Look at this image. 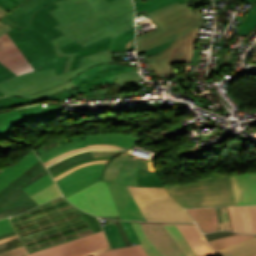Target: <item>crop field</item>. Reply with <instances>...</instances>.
<instances>
[{
    "label": "crop field",
    "mask_w": 256,
    "mask_h": 256,
    "mask_svg": "<svg viewBox=\"0 0 256 256\" xmlns=\"http://www.w3.org/2000/svg\"><path fill=\"white\" fill-rule=\"evenodd\" d=\"M147 15L159 29L136 38L137 53L176 38L170 47L146 59L158 76L173 74L169 64L191 60L197 27L202 23L201 8L193 12L187 3L176 2Z\"/></svg>",
    "instance_id": "1"
},
{
    "label": "crop field",
    "mask_w": 256,
    "mask_h": 256,
    "mask_svg": "<svg viewBox=\"0 0 256 256\" xmlns=\"http://www.w3.org/2000/svg\"><path fill=\"white\" fill-rule=\"evenodd\" d=\"M99 0H61L59 8L50 11L60 24L55 26L65 35L52 40L60 47L76 41L85 46L108 35L112 38L134 26V14L104 27L98 18L111 14L114 18L134 9L132 0H120L100 11L92 4Z\"/></svg>",
    "instance_id": "2"
},
{
    "label": "crop field",
    "mask_w": 256,
    "mask_h": 256,
    "mask_svg": "<svg viewBox=\"0 0 256 256\" xmlns=\"http://www.w3.org/2000/svg\"><path fill=\"white\" fill-rule=\"evenodd\" d=\"M57 8L56 4H50L37 11L30 26L21 28L7 17L0 21L8 23L12 31L8 35L29 60L36 71L56 68L57 74L62 73L68 57H57L55 47L50 40L63 35L53 26L58 25L56 20L48 12ZM56 58V61H53ZM42 67L39 69V67Z\"/></svg>",
    "instance_id": "3"
},
{
    "label": "crop field",
    "mask_w": 256,
    "mask_h": 256,
    "mask_svg": "<svg viewBox=\"0 0 256 256\" xmlns=\"http://www.w3.org/2000/svg\"><path fill=\"white\" fill-rule=\"evenodd\" d=\"M166 189L185 208L236 205L230 176L213 174L211 179Z\"/></svg>",
    "instance_id": "4"
},
{
    "label": "crop field",
    "mask_w": 256,
    "mask_h": 256,
    "mask_svg": "<svg viewBox=\"0 0 256 256\" xmlns=\"http://www.w3.org/2000/svg\"><path fill=\"white\" fill-rule=\"evenodd\" d=\"M112 62L110 50L83 57L78 69L56 75L55 69L21 75L0 83V90L6 95L28 96L36 92L61 85L83 70L98 63ZM113 63V62H112ZM74 78V77H73Z\"/></svg>",
    "instance_id": "5"
},
{
    "label": "crop field",
    "mask_w": 256,
    "mask_h": 256,
    "mask_svg": "<svg viewBox=\"0 0 256 256\" xmlns=\"http://www.w3.org/2000/svg\"><path fill=\"white\" fill-rule=\"evenodd\" d=\"M128 187L147 221L193 222L165 188Z\"/></svg>",
    "instance_id": "6"
},
{
    "label": "crop field",
    "mask_w": 256,
    "mask_h": 256,
    "mask_svg": "<svg viewBox=\"0 0 256 256\" xmlns=\"http://www.w3.org/2000/svg\"><path fill=\"white\" fill-rule=\"evenodd\" d=\"M102 180L147 187H164L157 172H148L145 160L121 154L114 157L104 169Z\"/></svg>",
    "instance_id": "7"
},
{
    "label": "crop field",
    "mask_w": 256,
    "mask_h": 256,
    "mask_svg": "<svg viewBox=\"0 0 256 256\" xmlns=\"http://www.w3.org/2000/svg\"><path fill=\"white\" fill-rule=\"evenodd\" d=\"M43 171L48 172L39 160L6 188L0 191V219L20 214L38 205L22 189L31 184L30 179Z\"/></svg>",
    "instance_id": "8"
},
{
    "label": "crop field",
    "mask_w": 256,
    "mask_h": 256,
    "mask_svg": "<svg viewBox=\"0 0 256 256\" xmlns=\"http://www.w3.org/2000/svg\"><path fill=\"white\" fill-rule=\"evenodd\" d=\"M67 199L93 215L119 219L106 182L100 181Z\"/></svg>",
    "instance_id": "9"
},
{
    "label": "crop field",
    "mask_w": 256,
    "mask_h": 256,
    "mask_svg": "<svg viewBox=\"0 0 256 256\" xmlns=\"http://www.w3.org/2000/svg\"><path fill=\"white\" fill-rule=\"evenodd\" d=\"M187 256H211L214 249L208 244L195 223H162ZM166 229V230H167Z\"/></svg>",
    "instance_id": "10"
},
{
    "label": "crop field",
    "mask_w": 256,
    "mask_h": 256,
    "mask_svg": "<svg viewBox=\"0 0 256 256\" xmlns=\"http://www.w3.org/2000/svg\"><path fill=\"white\" fill-rule=\"evenodd\" d=\"M105 245H108V242L101 231L26 256H80Z\"/></svg>",
    "instance_id": "11"
},
{
    "label": "crop field",
    "mask_w": 256,
    "mask_h": 256,
    "mask_svg": "<svg viewBox=\"0 0 256 256\" xmlns=\"http://www.w3.org/2000/svg\"><path fill=\"white\" fill-rule=\"evenodd\" d=\"M84 137L86 141L66 144L51 150L50 152L40 157L42 162L47 161L63 152L77 149L80 147H86V145L89 144H116L126 149H130L143 138L125 133H99L92 135H84Z\"/></svg>",
    "instance_id": "12"
},
{
    "label": "crop field",
    "mask_w": 256,
    "mask_h": 256,
    "mask_svg": "<svg viewBox=\"0 0 256 256\" xmlns=\"http://www.w3.org/2000/svg\"><path fill=\"white\" fill-rule=\"evenodd\" d=\"M107 163H97L80 168L56 181L62 194L67 197L102 178L104 166Z\"/></svg>",
    "instance_id": "13"
},
{
    "label": "crop field",
    "mask_w": 256,
    "mask_h": 256,
    "mask_svg": "<svg viewBox=\"0 0 256 256\" xmlns=\"http://www.w3.org/2000/svg\"><path fill=\"white\" fill-rule=\"evenodd\" d=\"M134 70L124 64H99L75 76L71 81L79 88L113 82L115 74Z\"/></svg>",
    "instance_id": "14"
},
{
    "label": "crop field",
    "mask_w": 256,
    "mask_h": 256,
    "mask_svg": "<svg viewBox=\"0 0 256 256\" xmlns=\"http://www.w3.org/2000/svg\"><path fill=\"white\" fill-rule=\"evenodd\" d=\"M63 107H52L43 109L41 105L0 114V122L6 126L0 129V139L12 131L16 124L38 119L44 116L62 113Z\"/></svg>",
    "instance_id": "15"
},
{
    "label": "crop field",
    "mask_w": 256,
    "mask_h": 256,
    "mask_svg": "<svg viewBox=\"0 0 256 256\" xmlns=\"http://www.w3.org/2000/svg\"><path fill=\"white\" fill-rule=\"evenodd\" d=\"M140 223L146 236L164 256H186L161 223Z\"/></svg>",
    "instance_id": "16"
},
{
    "label": "crop field",
    "mask_w": 256,
    "mask_h": 256,
    "mask_svg": "<svg viewBox=\"0 0 256 256\" xmlns=\"http://www.w3.org/2000/svg\"><path fill=\"white\" fill-rule=\"evenodd\" d=\"M107 184L121 219L145 221L127 185Z\"/></svg>",
    "instance_id": "17"
},
{
    "label": "crop field",
    "mask_w": 256,
    "mask_h": 256,
    "mask_svg": "<svg viewBox=\"0 0 256 256\" xmlns=\"http://www.w3.org/2000/svg\"><path fill=\"white\" fill-rule=\"evenodd\" d=\"M27 59L15 46L7 33L0 36V62L19 75L34 71Z\"/></svg>",
    "instance_id": "18"
},
{
    "label": "crop field",
    "mask_w": 256,
    "mask_h": 256,
    "mask_svg": "<svg viewBox=\"0 0 256 256\" xmlns=\"http://www.w3.org/2000/svg\"><path fill=\"white\" fill-rule=\"evenodd\" d=\"M237 205L256 204V173L231 176Z\"/></svg>",
    "instance_id": "19"
},
{
    "label": "crop field",
    "mask_w": 256,
    "mask_h": 256,
    "mask_svg": "<svg viewBox=\"0 0 256 256\" xmlns=\"http://www.w3.org/2000/svg\"><path fill=\"white\" fill-rule=\"evenodd\" d=\"M113 40L114 39H112L110 36H108L100 41H97V42L87 45L85 47L79 45L78 43L73 42L71 44L60 47V49L64 53H79L78 55L75 56L74 61L71 66V69H75L78 67L81 57L91 55L94 53H98V51L102 52L107 49H110V44L113 42Z\"/></svg>",
    "instance_id": "20"
},
{
    "label": "crop field",
    "mask_w": 256,
    "mask_h": 256,
    "mask_svg": "<svg viewBox=\"0 0 256 256\" xmlns=\"http://www.w3.org/2000/svg\"><path fill=\"white\" fill-rule=\"evenodd\" d=\"M56 1L59 0H28L6 16L21 27L27 26L37 10Z\"/></svg>",
    "instance_id": "21"
},
{
    "label": "crop field",
    "mask_w": 256,
    "mask_h": 256,
    "mask_svg": "<svg viewBox=\"0 0 256 256\" xmlns=\"http://www.w3.org/2000/svg\"><path fill=\"white\" fill-rule=\"evenodd\" d=\"M38 160V157L32 149L16 164L11 167L8 166L7 168H5L2 172H0V190H2L5 186L11 183L14 179H16L20 174H22Z\"/></svg>",
    "instance_id": "22"
},
{
    "label": "crop field",
    "mask_w": 256,
    "mask_h": 256,
    "mask_svg": "<svg viewBox=\"0 0 256 256\" xmlns=\"http://www.w3.org/2000/svg\"><path fill=\"white\" fill-rule=\"evenodd\" d=\"M204 233L218 231L214 208L187 209Z\"/></svg>",
    "instance_id": "23"
},
{
    "label": "crop field",
    "mask_w": 256,
    "mask_h": 256,
    "mask_svg": "<svg viewBox=\"0 0 256 256\" xmlns=\"http://www.w3.org/2000/svg\"><path fill=\"white\" fill-rule=\"evenodd\" d=\"M221 256H251L256 254V237L218 251Z\"/></svg>",
    "instance_id": "24"
},
{
    "label": "crop field",
    "mask_w": 256,
    "mask_h": 256,
    "mask_svg": "<svg viewBox=\"0 0 256 256\" xmlns=\"http://www.w3.org/2000/svg\"><path fill=\"white\" fill-rule=\"evenodd\" d=\"M134 35L135 27L126 30L122 34L114 38V42L111 44V51L121 52L126 50L135 49L134 47Z\"/></svg>",
    "instance_id": "25"
},
{
    "label": "crop field",
    "mask_w": 256,
    "mask_h": 256,
    "mask_svg": "<svg viewBox=\"0 0 256 256\" xmlns=\"http://www.w3.org/2000/svg\"><path fill=\"white\" fill-rule=\"evenodd\" d=\"M87 158H94L91 151L80 153V154L74 155L72 157L63 159V160L49 166L48 170L52 175V174L62 170L63 168L69 166V165H72V164H74L78 161H81V160H84V159H87Z\"/></svg>",
    "instance_id": "26"
},
{
    "label": "crop field",
    "mask_w": 256,
    "mask_h": 256,
    "mask_svg": "<svg viewBox=\"0 0 256 256\" xmlns=\"http://www.w3.org/2000/svg\"><path fill=\"white\" fill-rule=\"evenodd\" d=\"M256 235H243L238 234L234 236H229L225 238L215 239L209 241L210 244L216 249V251L221 250L223 248L229 247L231 245L237 244L239 242H242L244 240L250 239L252 237H255Z\"/></svg>",
    "instance_id": "27"
},
{
    "label": "crop field",
    "mask_w": 256,
    "mask_h": 256,
    "mask_svg": "<svg viewBox=\"0 0 256 256\" xmlns=\"http://www.w3.org/2000/svg\"><path fill=\"white\" fill-rule=\"evenodd\" d=\"M255 5L243 20L237 33L247 36L249 32L256 26V0H241Z\"/></svg>",
    "instance_id": "28"
},
{
    "label": "crop field",
    "mask_w": 256,
    "mask_h": 256,
    "mask_svg": "<svg viewBox=\"0 0 256 256\" xmlns=\"http://www.w3.org/2000/svg\"><path fill=\"white\" fill-rule=\"evenodd\" d=\"M98 256H148L140 244L126 248L111 249Z\"/></svg>",
    "instance_id": "29"
},
{
    "label": "crop field",
    "mask_w": 256,
    "mask_h": 256,
    "mask_svg": "<svg viewBox=\"0 0 256 256\" xmlns=\"http://www.w3.org/2000/svg\"><path fill=\"white\" fill-rule=\"evenodd\" d=\"M176 1H178L180 4L185 3V0H150L145 3L140 2L134 5L136 7V13L144 9H146L147 13H149L151 11H154L156 9H159L161 7L174 3Z\"/></svg>",
    "instance_id": "30"
},
{
    "label": "crop field",
    "mask_w": 256,
    "mask_h": 256,
    "mask_svg": "<svg viewBox=\"0 0 256 256\" xmlns=\"http://www.w3.org/2000/svg\"><path fill=\"white\" fill-rule=\"evenodd\" d=\"M131 223L133 224L141 242H142V247L145 249V251L148 253L149 256H163L158 250L157 248L149 241V239L145 236V234L143 233L140 223L139 222H133L131 221ZM146 253V254H147Z\"/></svg>",
    "instance_id": "31"
},
{
    "label": "crop field",
    "mask_w": 256,
    "mask_h": 256,
    "mask_svg": "<svg viewBox=\"0 0 256 256\" xmlns=\"http://www.w3.org/2000/svg\"><path fill=\"white\" fill-rule=\"evenodd\" d=\"M61 193L58 189V187L56 186V184H52L49 187H47L46 189L36 193L35 195L31 196L39 205L60 196Z\"/></svg>",
    "instance_id": "32"
},
{
    "label": "crop field",
    "mask_w": 256,
    "mask_h": 256,
    "mask_svg": "<svg viewBox=\"0 0 256 256\" xmlns=\"http://www.w3.org/2000/svg\"><path fill=\"white\" fill-rule=\"evenodd\" d=\"M103 228L108 237L111 248L125 246L124 241L116 225L107 224L103 226Z\"/></svg>",
    "instance_id": "33"
},
{
    "label": "crop field",
    "mask_w": 256,
    "mask_h": 256,
    "mask_svg": "<svg viewBox=\"0 0 256 256\" xmlns=\"http://www.w3.org/2000/svg\"><path fill=\"white\" fill-rule=\"evenodd\" d=\"M82 93H85V97L95 96L94 86L90 88L82 89V90H79L76 86H74L64 92L56 93L54 95H51L45 98L59 100L65 97L82 94Z\"/></svg>",
    "instance_id": "34"
},
{
    "label": "crop field",
    "mask_w": 256,
    "mask_h": 256,
    "mask_svg": "<svg viewBox=\"0 0 256 256\" xmlns=\"http://www.w3.org/2000/svg\"><path fill=\"white\" fill-rule=\"evenodd\" d=\"M33 100L34 99H31V98L18 97V96H9V97L0 98V109H5V108L13 107L16 105L34 102Z\"/></svg>",
    "instance_id": "35"
},
{
    "label": "crop field",
    "mask_w": 256,
    "mask_h": 256,
    "mask_svg": "<svg viewBox=\"0 0 256 256\" xmlns=\"http://www.w3.org/2000/svg\"><path fill=\"white\" fill-rule=\"evenodd\" d=\"M228 209L234 231L245 233L240 207H228Z\"/></svg>",
    "instance_id": "36"
},
{
    "label": "crop field",
    "mask_w": 256,
    "mask_h": 256,
    "mask_svg": "<svg viewBox=\"0 0 256 256\" xmlns=\"http://www.w3.org/2000/svg\"><path fill=\"white\" fill-rule=\"evenodd\" d=\"M54 181L51 178L50 174L46 175L45 177L39 179L38 181L32 183L25 189H23L25 192H27L30 196L35 194L36 192L40 191L41 189L49 186Z\"/></svg>",
    "instance_id": "37"
},
{
    "label": "crop field",
    "mask_w": 256,
    "mask_h": 256,
    "mask_svg": "<svg viewBox=\"0 0 256 256\" xmlns=\"http://www.w3.org/2000/svg\"><path fill=\"white\" fill-rule=\"evenodd\" d=\"M87 149H123V148H120V147L115 146V145H90V146H88V148H80V149H77V150H73V151H69V152H66L64 154H61V155H59V156H57V157H55V158H53V159H51L47 162H44V164L46 166H48L49 164L65 157V156H68L70 154H73V153H76V152H79V151L87 150Z\"/></svg>",
    "instance_id": "38"
},
{
    "label": "crop field",
    "mask_w": 256,
    "mask_h": 256,
    "mask_svg": "<svg viewBox=\"0 0 256 256\" xmlns=\"http://www.w3.org/2000/svg\"><path fill=\"white\" fill-rule=\"evenodd\" d=\"M74 86V84L70 81L66 84H63L61 86H58V87H55V88H52V89H48V90H45V91H42V92H39V93H36L34 95H31V97H36V98H42V97H45V96H48V95H51V94H54L56 92H60V91H63L67 88H70Z\"/></svg>",
    "instance_id": "39"
},
{
    "label": "crop field",
    "mask_w": 256,
    "mask_h": 256,
    "mask_svg": "<svg viewBox=\"0 0 256 256\" xmlns=\"http://www.w3.org/2000/svg\"><path fill=\"white\" fill-rule=\"evenodd\" d=\"M120 222L122 224V227H123L127 237L129 238L130 242L131 243L135 242V244L140 243L130 221H120Z\"/></svg>",
    "instance_id": "40"
},
{
    "label": "crop field",
    "mask_w": 256,
    "mask_h": 256,
    "mask_svg": "<svg viewBox=\"0 0 256 256\" xmlns=\"http://www.w3.org/2000/svg\"><path fill=\"white\" fill-rule=\"evenodd\" d=\"M204 152H206V151L194 146L188 150L181 152V154L188 159H195L198 156H200L201 154H203Z\"/></svg>",
    "instance_id": "41"
},
{
    "label": "crop field",
    "mask_w": 256,
    "mask_h": 256,
    "mask_svg": "<svg viewBox=\"0 0 256 256\" xmlns=\"http://www.w3.org/2000/svg\"><path fill=\"white\" fill-rule=\"evenodd\" d=\"M81 212V214L84 216V218L86 219V221L89 223V225L92 227V229L97 232V231H101V226L97 220V217L91 216L81 210H79Z\"/></svg>",
    "instance_id": "42"
},
{
    "label": "crop field",
    "mask_w": 256,
    "mask_h": 256,
    "mask_svg": "<svg viewBox=\"0 0 256 256\" xmlns=\"http://www.w3.org/2000/svg\"><path fill=\"white\" fill-rule=\"evenodd\" d=\"M246 233H253L248 206L241 207Z\"/></svg>",
    "instance_id": "43"
},
{
    "label": "crop field",
    "mask_w": 256,
    "mask_h": 256,
    "mask_svg": "<svg viewBox=\"0 0 256 256\" xmlns=\"http://www.w3.org/2000/svg\"><path fill=\"white\" fill-rule=\"evenodd\" d=\"M14 76L16 75L13 72H11L9 69H7L0 63V82L10 79ZM0 96H4V94L0 92Z\"/></svg>",
    "instance_id": "44"
},
{
    "label": "crop field",
    "mask_w": 256,
    "mask_h": 256,
    "mask_svg": "<svg viewBox=\"0 0 256 256\" xmlns=\"http://www.w3.org/2000/svg\"><path fill=\"white\" fill-rule=\"evenodd\" d=\"M27 253L25 246L0 253V256H22Z\"/></svg>",
    "instance_id": "45"
},
{
    "label": "crop field",
    "mask_w": 256,
    "mask_h": 256,
    "mask_svg": "<svg viewBox=\"0 0 256 256\" xmlns=\"http://www.w3.org/2000/svg\"><path fill=\"white\" fill-rule=\"evenodd\" d=\"M21 3L22 2L18 0H7L5 2L3 0H0V7L10 12L13 9H15L17 6H19Z\"/></svg>",
    "instance_id": "46"
},
{
    "label": "crop field",
    "mask_w": 256,
    "mask_h": 256,
    "mask_svg": "<svg viewBox=\"0 0 256 256\" xmlns=\"http://www.w3.org/2000/svg\"><path fill=\"white\" fill-rule=\"evenodd\" d=\"M19 246H23V243L21 242L20 238L0 244V252L15 248V247H19Z\"/></svg>",
    "instance_id": "47"
},
{
    "label": "crop field",
    "mask_w": 256,
    "mask_h": 256,
    "mask_svg": "<svg viewBox=\"0 0 256 256\" xmlns=\"http://www.w3.org/2000/svg\"><path fill=\"white\" fill-rule=\"evenodd\" d=\"M124 151H92L94 157H114Z\"/></svg>",
    "instance_id": "48"
},
{
    "label": "crop field",
    "mask_w": 256,
    "mask_h": 256,
    "mask_svg": "<svg viewBox=\"0 0 256 256\" xmlns=\"http://www.w3.org/2000/svg\"><path fill=\"white\" fill-rule=\"evenodd\" d=\"M13 227L9 221V218L0 220V234L13 231Z\"/></svg>",
    "instance_id": "49"
},
{
    "label": "crop field",
    "mask_w": 256,
    "mask_h": 256,
    "mask_svg": "<svg viewBox=\"0 0 256 256\" xmlns=\"http://www.w3.org/2000/svg\"><path fill=\"white\" fill-rule=\"evenodd\" d=\"M172 41H173V40H172ZM172 41L167 42V43L162 44V45H159V46L154 47V48H152V49H149V50H147V51H144L145 54H146V56H147V58L150 57V56H152V55H154V54H156V53H158V52H160V51H162V50H164L165 48H167V47L169 46L168 44L171 43ZM142 53H143V52H142Z\"/></svg>",
    "instance_id": "50"
},
{
    "label": "crop field",
    "mask_w": 256,
    "mask_h": 256,
    "mask_svg": "<svg viewBox=\"0 0 256 256\" xmlns=\"http://www.w3.org/2000/svg\"><path fill=\"white\" fill-rule=\"evenodd\" d=\"M234 234H237V233L222 231V232H218V233L206 234L205 236L208 240H211V239L234 235Z\"/></svg>",
    "instance_id": "51"
},
{
    "label": "crop field",
    "mask_w": 256,
    "mask_h": 256,
    "mask_svg": "<svg viewBox=\"0 0 256 256\" xmlns=\"http://www.w3.org/2000/svg\"><path fill=\"white\" fill-rule=\"evenodd\" d=\"M56 47V46H55ZM56 50H57V54H58V56H69V58H68V62L66 63V66H65V70H64V72L65 71H68L69 69H70V66H71V63H72V61H73V57H74V55L75 54H64L59 48H57L56 47Z\"/></svg>",
    "instance_id": "52"
},
{
    "label": "crop field",
    "mask_w": 256,
    "mask_h": 256,
    "mask_svg": "<svg viewBox=\"0 0 256 256\" xmlns=\"http://www.w3.org/2000/svg\"><path fill=\"white\" fill-rule=\"evenodd\" d=\"M99 159H112V158H94V159L84 160V161L78 162V163H76V164H74V165H72V166H70V167H68V168H66V169H64V170L54 174V175H52V176L54 178V177H56V176H58V175H60V174H62L64 172L68 171L69 169L73 168L76 165L83 164V163H86V162H90V161H93V160H99Z\"/></svg>",
    "instance_id": "53"
},
{
    "label": "crop field",
    "mask_w": 256,
    "mask_h": 256,
    "mask_svg": "<svg viewBox=\"0 0 256 256\" xmlns=\"http://www.w3.org/2000/svg\"><path fill=\"white\" fill-rule=\"evenodd\" d=\"M249 209H250L253 231H254V233H256V205L249 206Z\"/></svg>",
    "instance_id": "54"
},
{
    "label": "crop field",
    "mask_w": 256,
    "mask_h": 256,
    "mask_svg": "<svg viewBox=\"0 0 256 256\" xmlns=\"http://www.w3.org/2000/svg\"><path fill=\"white\" fill-rule=\"evenodd\" d=\"M109 161H110V160H99V161H94V162L86 163V164H83V165H79V166H77V167H75V168L69 170L68 172H66V173H64V174H62V175H60V176H58V177H56V178H54V179H55V181H56V180L59 179L60 177H62V176H64V175H66V174H68V173L74 171L75 169L80 168V167H83V166H86V165H88V164L97 163V162H109Z\"/></svg>",
    "instance_id": "55"
},
{
    "label": "crop field",
    "mask_w": 256,
    "mask_h": 256,
    "mask_svg": "<svg viewBox=\"0 0 256 256\" xmlns=\"http://www.w3.org/2000/svg\"><path fill=\"white\" fill-rule=\"evenodd\" d=\"M107 249H109V245L106 246V247L100 248L98 250L92 251L90 253H87L85 255H82V256H95V255H97V254H99V253H101V252H103V251H105Z\"/></svg>",
    "instance_id": "56"
},
{
    "label": "crop field",
    "mask_w": 256,
    "mask_h": 256,
    "mask_svg": "<svg viewBox=\"0 0 256 256\" xmlns=\"http://www.w3.org/2000/svg\"><path fill=\"white\" fill-rule=\"evenodd\" d=\"M115 222H116V224H117L118 227H119V230H120V232H121V234H122V237H123V239H124L126 245H127V246L131 245L130 242H129V240H128V238L126 237V235H125V233H124L122 227H121L120 222H119V221H115Z\"/></svg>",
    "instance_id": "57"
},
{
    "label": "crop field",
    "mask_w": 256,
    "mask_h": 256,
    "mask_svg": "<svg viewBox=\"0 0 256 256\" xmlns=\"http://www.w3.org/2000/svg\"><path fill=\"white\" fill-rule=\"evenodd\" d=\"M11 30L8 24L4 25L0 22V35Z\"/></svg>",
    "instance_id": "58"
},
{
    "label": "crop field",
    "mask_w": 256,
    "mask_h": 256,
    "mask_svg": "<svg viewBox=\"0 0 256 256\" xmlns=\"http://www.w3.org/2000/svg\"><path fill=\"white\" fill-rule=\"evenodd\" d=\"M12 235H16V232L13 231V232H10V233L0 235V240L3 239V238H6V237L12 236Z\"/></svg>",
    "instance_id": "59"
},
{
    "label": "crop field",
    "mask_w": 256,
    "mask_h": 256,
    "mask_svg": "<svg viewBox=\"0 0 256 256\" xmlns=\"http://www.w3.org/2000/svg\"><path fill=\"white\" fill-rule=\"evenodd\" d=\"M15 238H18V235L13 236V237L6 238V239H4V240H1V241H0V243H3V242H6V241H9V240H12V239H15Z\"/></svg>",
    "instance_id": "60"
},
{
    "label": "crop field",
    "mask_w": 256,
    "mask_h": 256,
    "mask_svg": "<svg viewBox=\"0 0 256 256\" xmlns=\"http://www.w3.org/2000/svg\"><path fill=\"white\" fill-rule=\"evenodd\" d=\"M0 11L3 13V14H7V13H9V12H7V11H5L4 9H2V8H0Z\"/></svg>",
    "instance_id": "61"
},
{
    "label": "crop field",
    "mask_w": 256,
    "mask_h": 256,
    "mask_svg": "<svg viewBox=\"0 0 256 256\" xmlns=\"http://www.w3.org/2000/svg\"><path fill=\"white\" fill-rule=\"evenodd\" d=\"M253 61L256 63V53H255V55L253 56Z\"/></svg>",
    "instance_id": "62"
},
{
    "label": "crop field",
    "mask_w": 256,
    "mask_h": 256,
    "mask_svg": "<svg viewBox=\"0 0 256 256\" xmlns=\"http://www.w3.org/2000/svg\"><path fill=\"white\" fill-rule=\"evenodd\" d=\"M40 101H37V102H34V103H30V104H35V103H39ZM30 104H26V105H30ZM23 106V105H21ZM16 107H19V106H16Z\"/></svg>",
    "instance_id": "63"
},
{
    "label": "crop field",
    "mask_w": 256,
    "mask_h": 256,
    "mask_svg": "<svg viewBox=\"0 0 256 256\" xmlns=\"http://www.w3.org/2000/svg\"><path fill=\"white\" fill-rule=\"evenodd\" d=\"M3 126H5V125H3V124L0 123V128H2Z\"/></svg>",
    "instance_id": "64"
},
{
    "label": "crop field",
    "mask_w": 256,
    "mask_h": 256,
    "mask_svg": "<svg viewBox=\"0 0 256 256\" xmlns=\"http://www.w3.org/2000/svg\"><path fill=\"white\" fill-rule=\"evenodd\" d=\"M2 16H4V15L0 12V18H1Z\"/></svg>",
    "instance_id": "65"
},
{
    "label": "crop field",
    "mask_w": 256,
    "mask_h": 256,
    "mask_svg": "<svg viewBox=\"0 0 256 256\" xmlns=\"http://www.w3.org/2000/svg\"><path fill=\"white\" fill-rule=\"evenodd\" d=\"M108 2L112 1V0H107Z\"/></svg>",
    "instance_id": "66"
},
{
    "label": "crop field",
    "mask_w": 256,
    "mask_h": 256,
    "mask_svg": "<svg viewBox=\"0 0 256 256\" xmlns=\"http://www.w3.org/2000/svg\"><path fill=\"white\" fill-rule=\"evenodd\" d=\"M21 1H23V2H24V1H26V0H21Z\"/></svg>",
    "instance_id": "67"
},
{
    "label": "crop field",
    "mask_w": 256,
    "mask_h": 256,
    "mask_svg": "<svg viewBox=\"0 0 256 256\" xmlns=\"http://www.w3.org/2000/svg\"><path fill=\"white\" fill-rule=\"evenodd\" d=\"M217 0H214V2H216Z\"/></svg>",
    "instance_id": "68"
},
{
    "label": "crop field",
    "mask_w": 256,
    "mask_h": 256,
    "mask_svg": "<svg viewBox=\"0 0 256 256\" xmlns=\"http://www.w3.org/2000/svg\"><path fill=\"white\" fill-rule=\"evenodd\" d=\"M254 256H256V255H254Z\"/></svg>",
    "instance_id": "69"
}]
</instances>
